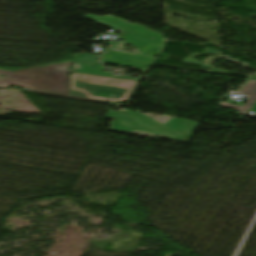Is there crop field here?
<instances>
[{
    "mask_svg": "<svg viewBox=\"0 0 256 256\" xmlns=\"http://www.w3.org/2000/svg\"><path fill=\"white\" fill-rule=\"evenodd\" d=\"M137 82L71 73L70 94L120 102L127 101Z\"/></svg>",
    "mask_w": 256,
    "mask_h": 256,
    "instance_id": "crop-field-2",
    "label": "crop field"
},
{
    "mask_svg": "<svg viewBox=\"0 0 256 256\" xmlns=\"http://www.w3.org/2000/svg\"><path fill=\"white\" fill-rule=\"evenodd\" d=\"M71 61L28 68L16 72L0 70V87L5 88L8 85H18L29 87L38 94L79 99L93 102L106 103L84 98L68 96V85L70 71L65 70ZM110 104V103H107Z\"/></svg>",
    "mask_w": 256,
    "mask_h": 256,
    "instance_id": "crop-field-1",
    "label": "crop field"
},
{
    "mask_svg": "<svg viewBox=\"0 0 256 256\" xmlns=\"http://www.w3.org/2000/svg\"><path fill=\"white\" fill-rule=\"evenodd\" d=\"M249 113H253L252 115L256 116V104L254 105V107L250 110Z\"/></svg>",
    "mask_w": 256,
    "mask_h": 256,
    "instance_id": "crop-field-4",
    "label": "crop field"
},
{
    "mask_svg": "<svg viewBox=\"0 0 256 256\" xmlns=\"http://www.w3.org/2000/svg\"><path fill=\"white\" fill-rule=\"evenodd\" d=\"M239 92H242L248 96H251L249 100L246 102V104L244 105V107L227 103V102H222L220 106L233 109V110H238L240 113L246 114L247 111L251 108V106L256 101V81H249L239 90Z\"/></svg>",
    "mask_w": 256,
    "mask_h": 256,
    "instance_id": "crop-field-3",
    "label": "crop field"
}]
</instances>
